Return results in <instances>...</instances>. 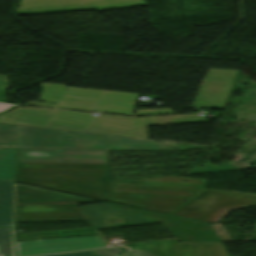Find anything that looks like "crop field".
<instances>
[{
  "mask_svg": "<svg viewBox=\"0 0 256 256\" xmlns=\"http://www.w3.org/2000/svg\"><path fill=\"white\" fill-rule=\"evenodd\" d=\"M17 181L208 222L229 210L256 205V195L203 190L204 180L165 177L109 182L108 164L18 163Z\"/></svg>",
  "mask_w": 256,
  "mask_h": 256,
  "instance_id": "crop-field-1",
  "label": "crop field"
},
{
  "mask_svg": "<svg viewBox=\"0 0 256 256\" xmlns=\"http://www.w3.org/2000/svg\"><path fill=\"white\" fill-rule=\"evenodd\" d=\"M15 108L0 115V123L103 133L147 139L146 126L207 122L198 115L127 118L111 115Z\"/></svg>",
  "mask_w": 256,
  "mask_h": 256,
  "instance_id": "crop-field-2",
  "label": "crop field"
},
{
  "mask_svg": "<svg viewBox=\"0 0 256 256\" xmlns=\"http://www.w3.org/2000/svg\"><path fill=\"white\" fill-rule=\"evenodd\" d=\"M20 146L109 150L175 151L143 139L83 134L19 126Z\"/></svg>",
  "mask_w": 256,
  "mask_h": 256,
  "instance_id": "crop-field-3",
  "label": "crop field"
},
{
  "mask_svg": "<svg viewBox=\"0 0 256 256\" xmlns=\"http://www.w3.org/2000/svg\"><path fill=\"white\" fill-rule=\"evenodd\" d=\"M44 89L39 101L58 103L57 105L30 102L27 105L75 109L95 112L131 115L139 94L67 88L64 85L41 83ZM136 97L133 105L129 101Z\"/></svg>",
  "mask_w": 256,
  "mask_h": 256,
  "instance_id": "crop-field-4",
  "label": "crop field"
},
{
  "mask_svg": "<svg viewBox=\"0 0 256 256\" xmlns=\"http://www.w3.org/2000/svg\"><path fill=\"white\" fill-rule=\"evenodd\" d=\"M145 4L143 0H21L17 15L62 11L109 10Z\"/></svg>",
  "mask_w": 256,
  "mask_h": 256,
  "instance_id": "crop-field-5",
  "label": "crop field"
},
{
  "mask_svg": "<svg viewBox=\"0 0 256 256\" xmlns=\"http://www.w3.org/2000/svg\"><path fill=\"white\" fill-rule=\"evenodd\" d=\"M238 71L210 69L192 106L223 109Z\"/></svg>",
  "mask_w": 256,
  "mask_h": 256,
  "instance_id": "crop-field-6",
  "label": "crop field"
},
{
  "mask_svg": "<svg viewBox=\"0 0 256 256\" xmlns=\"http://www.w3.org/2000/svg\"><path fill=\"white\" fill-rule=\"evenodd\" d=\"M18 162L107 163V150L18 149Z\"/></svg>",
  "mask_w": 256,
  "mask_h": 256,
  "instance_id": "crop-field-7",
  "label": "crop field"
},
{
  "mask_svg": "<svg viewBox=\"0 0 256 256\" xmlns=\"http://www.w3.org/2000/svg\"><path fill=\"white\" fill-rule=\"evenodd\" d=\"M79 210L94 229L159 222L155 218L106 205L80 207Z\"/></svg>",
  "mask_w": 256,
  "mask_h": 256,
  "instance_id": "crop-field-8",
  "label": "crop field"
},
{
  "mask_svg": "<svg viewBox=\"0 0 256 256\" xmlns=\"http://www.w3.org/2000/svg\"><path fill=\"white\" fill-rule=\"evenodd\" d=\"M106 246L99 236L16 242L15 256L46 254Z\"/></svg>",
  "mask_w": 256,
  "mask_h": 256,
  "instance_id": "crop-field-9",
  "label": "crop field"
},
{
  "mask_svg": "<svg viewBox=\"0 0 256 256\" xmlns=\"http://www.w3.org/2000/svg\"><path fill=\"white\" fill-rule=\"evenodd\" d=\"M135 248L157 256H227L220 243L180 244L177 240L139 243Z\"/></svg>",
  "mask_w": 256,
  "mask_h": 256,
  "instance_id": "crop-field-10",
  "label": "crop field"
},
{
  "mask_svg": "<svg viewBox=\"0 0 256 256\" xmlns=\"http://www.w3.org/2000/svg\"><path fill=\"white\" fill-rule=\"evenodd\" d=\"M16 221L85 220L76 204L17 205Z\"/></svg>",
  "mask_w": 256,
  "mask_h": 256,
  "instance_id": "crop-field-11",
  "label": "crop field"
},
{
  "mask_svg": "<svg viewBox=\"0 0 256 256\" xmlns=\"http://www.w3.org/2000/svg\"><path fill=\"white\" fill-rule=\"evenodd\" d=\"M13 182L0 181V226H11Z\"/></svg>",
  "mask_w": 256,
  "mask_h": 256,
  "instance_id": "crop-field-12",
  "label": "crop field"
},
{
  "mask_svg": "<svg viewBox=\"0 0 256 256\" xmlns=\"http://www.w3.org/2000/svg\"><path fill=\"white\" fill-rule=\"evenodd\" d=\"M0 179L14 180V149H0Z\"/></svg>",
  "mask_w": 256,
  "mask_h": 256,
  "instance_id": "crop-field-13",
  "label": "crop field"
},
{
  "mask_svg": "<svg viewBox=\"0 0 256 256\" xmlns=\"http://www.w3.org/2000/svg\"><path fill=\"white\" fill-rule=\"evenodd\" d=\"M0 146H19L18 126L0 124Z\"/></svg>",
  "mask_w": 256,
  "mask_h": 256,
  "instance_id": "crop-field-14",
  "label": "crop field"
},
{
  "mask_svg": "<svg viewBox=\"0 0 256 256\" xmlns=\"http://www.w3.org/2000/svg\"><path fill=\"white\" fill-rule=\"evenodd\" d=\"M0 256H11V228H0Z\"/></svg>",
  "mask_w": 256,
  "mask_h": 256,
  "instance_id": "crop-field-15",
  "label": "crop field"
},
{
  "mask_svg": "<svg viewBox=\"0 0 256 256\" xmlns=\"http://www.w3.org/2000/svg\"><path fill=\"white\" fill-rule=\"evenodd\" d=\"M173 114L172 109L137 110L135 116Z\"/></svg>",
  "mask_w": 256,
  "mask_h": 256,
  "instance_id": "crop-field-16",
  "label": "crop field"
},
{
  "mask_svg": "<svg viewBox=\"0 0 256 256\" xmlns=\"http://www.w3.org/2000/svg\"><path fill=\"white\" fill-rule=\"evenodd\" d=\"M8 87V82L6 76L0 75V102L7 103L5 99L6 89Z\"/></svg>",
  "mask_w": 256,
  "mask_h": 256,
  "instance_id": "crop-field-17",
  "label": "crop field"
},
{
  "mask_svg": "<svg viewBox=\"0 0 256 256\" xmlns=\"http://www.w3.org/2000/svg\"><path fill=\"white\" fill-rule=\"evenodd\" d=\"M121 251V249L117 248V247H113V248H105V249H99L96 250V254L102 255V256H119L117 255L119 252Z\"/></svg>",
  "mask_w": 256,
  "mask_h": 256,
  "instance_id": "crop-field-18",
  "label": "crop field"
},
{
  "mask_svg": "<svg viewBox=\"0 0 256 256\" xmlns=\"http://www.w3.org/2000/svg\"><path fill=\"white\" fill-rule=\"evenodd\" d=\"M95 250L92 251H83V252H73V253H64V254H56V255H47V256H99L93 254Z\"/></svg>",
  "mask_w": 256,
  "mask_h": 256,
  "instance_id": "crop-field-19",
  "label": "crop field"
},
{
  "mask_svg": "<svg viewBox=\"0 0 256 256\" xmlns=\"http://www.w3.org/2000/svg\"><path fill=\"white\" fill-rule=\"evenodd\" d=\"M126 256H154V255H151L146 252L133 248L131 252L128 253Z\"/></svg>",
  "mask_w": 256,
  "mask_h": 256,
  "instance_id": "crop-field-20",
  "label": "crop field"
},
{
  "mask_svg": "<svg viewBox=\"0 0 256 256\" xmlns=\"http://www.w3.org/2000/svg\"><path fill=\"white\" fill-rule=\"evenodd\" d=\"M8 107H10V105H3V104H0V111L6 109V108H8Z\"/></svg>",
  "mask_w": 256,
  "mask_h": 256,
  "instance_id": "crop-field-21",
  "label": "crop field"
}]
</instances>
